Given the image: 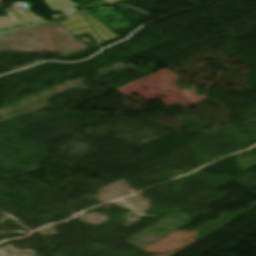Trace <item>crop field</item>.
I'll use <instances>...</instances> for the list:
<instances>
[{
  "label": "crop field",
  "instance_id": "crop-field-2",
  "mask_svg": "<svg viewBox=\"0 0 256 256\" xmlns=\"http://www.w3.org/2000/svg\"><path fill=\"white\" fill-rule=\"evenodd\" d=\"M106 4H109V2H107L105 0H102V1L95 2V3L87 4V5L92 7V8H96V7H99V6H102V5H106Z\"/></svg>",
  "mask_w": 256,
  "mask_h": 256
},
{
  "label": "crop field",
  "instance_id": "crop-field-1",
  "mask_svg": "<svg viewBox=\"0 0 256 256\" xmlns=\"http://www.w3.org/2000/svg\"><path fill=\"white\" fill-rule=\"evenodd\" d=\"M57 22H59L66 29L70 30V32L75 36L88 33L99 44H101L102 41L96 34H98L104 41L118 38V36H116L87 12L60 19L57 20Z\"/></svg>",
  "mask_w": 256,
  "mask_h": 256
},
{
  "label": "crop field",
  "instance_id": "crop-field-3",
  "mask_svg": "<svg viewBox=\"0 0 256 256\" xmlns=\"http://www.w3.org/2000/svg\"><path fill=\"white\" fill-rule=\"evenodd\" d=\"M72 2L80 5V4H84V3H87V2H90V1H94V0H71Z\"/></svg>",
  "mask_w": 256,
  "mask_h": 256
}]
</instances>
